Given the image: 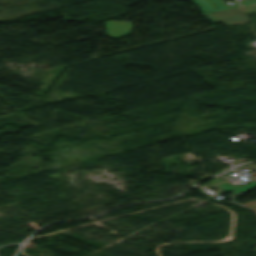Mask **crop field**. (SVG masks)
Returning a JSON list of instances; mask_svg holds the SVG:
<instances>
[{"instance_id":"obj_3","label":"crop field","mask_w":256,"mask_h":256,"mask_svg":"<svg viewBox=\"0 0 256 256\" xmlns=\"http://www.w3.org/2000/svg\"><path fill=\"white\" fill-rule=\"evenodd\" d=\"M196 5L200 7L202 13L217 11L221 9L231 8L232 6L226 4L223 0H192ZM204 4V6H200Z\"/></svg>"},{"instance_id":"obj_2","label":"crop field","mask_w":256,"mask_h":256,"mask_svg":"<svg viewBox=\"0 0 256 256\" xmlns=\"http://www.w3.org/2000/svg\"><path fill=\"white\" fill-rule=\"evenodd\" d=\"M105 26L107 36L114 39L121 38L132 30L129 21H106Z\"/></svg>"},{"instance_id":"obj_5","label":"crop field","mask_w":256,"mask_h":256,"mask_svg":"<svg viewBox=\"0 0 256 256\" xmlns=\"http://www.w3.org/2000/svg\"><path fill=\"white\" fill-rule=\"evenodd\" d=\"M242 204L246 205L248 207H251L253 209H256V200L255 201L246 202V203H242Z\"/></svg>"},{"instance_id":"obj_1","label":"crop field","mask_w":256,"mask_h":256,"mask_svg":"<svg viewBox=\"0 0 256 256\" xmlns=\"http://www.w3.org/2000/svg\"><path fill=\"white\" fill-rule=\"evenodd\" d=\"M205 17L212 22L219 21L227 26L248 21L247 15L241 13L237 9L207 14Z\"/></svg>"},{"instance_id":"obj_4","label":"crop field","mask_w":256,"mask_h":256,"mask_svg":"<svg viewBox=\"0 0 256 256\" xmlns=\"http://www.w3.org/2000/svg\"><path fill=\"white\" fill-rule=\"evenodd\" d=\"M252 177H253L252 180L246 181L244 184H240V185H233V184H230L227 182V183H223V184L211 185L208 187H217L221 191H224V192L232 191L233 192L232 194H235L239 191H244V190L256 185V173L252 174Z\"/></svg>"}]
</instances>
